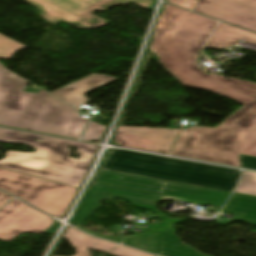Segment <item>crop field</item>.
<instances>
[{
  "instance_id": "crop-field-3",
  "label": "crop field",
  "mask_w": 256,
  "mask_h": 256,
  "mask_svg": "<svg viewBox=\"0 0 256 256\" xmlns=\"http://www.w3.org/2000/svg\"><path fill=\"white\" fill-rule=\"evenodd\" d=\"M21 78L5 69L0 79V125L79 139L88 120L41 89L23 92Z\"/></svg>"
},
{
  "instance_id": "crop-field-12",
  "label": "crop field",
  "mask_w": 256,
  "mask_h": 256,
  "mask_svg": "<svg viewBox=\"0 0 256 256\" xmlns=\"http://www.w3.org/2000/svg\"><path fill=\"white\" fill-rule=\"evenodd\" d=\"M239 176L236 169L197 163L184 182L232 191Z\"/></svg>"
},
{
  "instance_id": "crop-field-17",
  "label": "crop field",
  "mask_w": 256,
  "mask_h": 256,
  "mask_svg": "<svg viewBox=\"0 0 256 256\" xmlns=\"http://www.w3.org/2000/svg\"><path fill=\"white\" fill-rule=\"evenodd\" d=\"M255 202L256 197L234 193L222 211L239 214L237 219L242 220Z\"/></svg>"
},
{
  "instance_id": "crop-field-13",
  "label": "crop field",
  "mask_w": 256,
  "mask_h": 256,
  "mask_svg": "<svg viewBox=\"0 0 256 256\" xmlns=\"http://www.w3.org/2000/svg\"><path fill=\"white\" fill-rule=\"evenodd\" d=\"M114 80L116 79L110 76L91 74L79 81H76L70 85H67L61 89L52 92V94L57 96L64 102L74 107H77L79 105L89 102V100L86 99L83 94L107 83H110Z\"/></svg>"
},
{
  "instance_id": "crop-field-21",
  "label": "crop field",
  "mask_w": 256,
  "mask_h": 256,
  "mask_svg": "<svg viewBox=\"0 0 256 256\" xmlns=\"http://www.w3.org/2000/svg\"><path fill=\"white\" fill-rule=\"evenodd\" d=\"M109 254H112L115 256H154L151 254H147L141 251L131 249L123 245L118 246L117 248L112 250Z\"/></svg>"
},
{
  "instance_id": "crop-field-2",
  "label": "crop field",
  "mask_w": 256,
  "mask_h": 256,
  "mask_svg": "<svg viewBox=\"0 0 256 256\" xmlns=\"http://www.w3.org/2000/svg\"><path fill=\"white\" fill-rule=\"evenodd\" d=\"M43 139L42 142L35 141ZM0 142L30 145L35 153L8 151L0 160V167L32 175L53 182L79 188L84 179L98 146L0 128ZM79 147L82 154L79 160L69 158L71 150L66 146Z\"/></svg>"
},
{
  "instance_id": "crop-field-10",
  "label": "crop field",
  "mask_w": 256,
  "mask_h": 256,
  "mask_svg": "<svg viewBox=\"0 0 256 256\" xmlns=\"http://www.w3.org/2000/svg\"><path fill=\"white\" fill-rule=\"evenodd\" d=\"M193 11L256 32V0H199Z\"/></svg>"
},
{
  "instance_id": "crop-field-28",
  "label": "crop field",
  "mask_w": 256,
  "mask_h": 256,
  "mask_svg": "<svg viewBox=\"0 0 256 256\" xmlns=\"http://www.w3.org/2000/svg\"><path fill=\"white\" fill-rule=\"evenodd\" d=\"M59 225V223L58 222H54L53 224H52V226L46 231V232H44L45 234H50V235H53V233H54V231H55V229H56V227Z\"/></svg>"
},
{
  "instance_id": "crop-field-18",
  "label": "crop field",
  "mask_w": 256,
  "mask_h": 256,
  "mask_svg": "<svg viewBox=\"0 0 256 256\" xmlns=\"http://www.w3.org/2000/svg\"><path fill=\"white\" fill-rule=\"evenodd\" d=\"M23 48H27V47L0 34V58L1 59H10L12 58L16 50L23 49Z\"/></svg>"
},
{
  "instance_id": "crop-field-29",
  "label": "crop field",
  "mask_w": 256,
  "mask_h": 256,
  "mask_svg": "<svg viewBox=\"0 0 256 256\" xmlns=\"http://www.w3.org/2000/svg\"><path fill=\"white\" fill-rule=\"evenodd\" d=\"M4 69H5V67H3V66L0 64V77H1V75H2V73H3V71H4Z\"/></svg>"
},
{
  "instance_id": "crop-field-9",
  "label": "crop field",
  "mask_w": 256,
  "mask_h": 256,
  "mask_svg": "<svg viewBox=\"0 0 256 256\" xmlns=\"http://www.w3.org/2000/svg\"><path fill=\"white\" fill-rule=\"evenodd\" d=\"M54 221L15 199L0 212V240L11 241L22 232L43 233Z\"/></svg>"
},
{
  "instance_id": "crop-field-1",
  "label": "crop field",
  "mask_w": 256,
  "mask_h": 256,
  "mask_svg": "<svg viewBox=\"0 0 256 256\" xmlns=\"http://www.w3.org/2000/svg\"><path fill=\"white\" fill-rule=\"evenodd\" d=\"M165 28L149 47L181 84L210 90L244 105L216 128L187 127L171 155L240 166L239 154L256 157V83L206 74L195 62L217 21L164 5Z\"/></svg>"
},
{
  "instance_id": "crop-field-7",
  "label": "crop field",
  "mask_w": 256,
  "mask_h": 256,
  "mask_svg": "<svg viewBox=\"0 0 256 256\" xmlns=\"http://www.w3.org/2000/svg\"><path fill=\"white\" fill-rule=\"evenodd\" d=\"M41 10L42 18L57 25L60 22L73 24L80 29H97L110 22L92 14L95 10L101 12L117 5L131 2L151 10L155 0H26Z\"/></svg>"
},
{
  "instance_id": "crop-field-22",
  "label": "crop field",
  "mask_w": 256,
  "mask_h": 256,
  "mask_svg": "<svg viewBox=\"0 0 256 256\" xmlns=\"http://www.w3.org/2000/svg\"><path fill=\"white\" fill-rule=\"evenodd\" d=\"M241 166L256 169V158L240 155Z\"/></svg>"
},
{
  "instance_id": "crop-field-11",
  "label": "crop field",
  "mask_w": 256,
  "mask_h": 256,
  "mask_svg": "<svg viewBox=\"0 0 256 256\" xmlns=\"http://www.w3.org/2000/svg\"><path fill=\"white\" fill-rule=\"evenodd\" d=\"M179 130L118 127L114 142L120 146L168 154Z\"/></svg>"
},
{
  "instance_id": "crop-field-16",
  "label": "crop field",
  "mask_w": 256,
  "mask_h": 256,
  "mask_svg": "<svg viewBox=\"0 0 256 256\" xmlns=\"http://www.w3.org/2000/svg\"><path fill=\"white\" fill-rule=\"evenodd\" d=\"M156 254L163 256H207L183 244L176 234H156Z\"/></svg>"
},
{
  "instance_id": "crop-field-6",
  "label": "crop field",
  "mask_w": 256,
  "mask_h": 256,
  "mask_svg": "<svg viewBox=\"0 0 256 256\" xmlns=\"http://www.w3.org/2000/svg\"><path fill=\"white\" fill-rule=\"evenodd\" d=\"M0 189L53 216L63 217L77 188L0 168Z\"/></svg>"
},
{
  "instance_id": "crop-field-23",
  "label": "crop field",
  "mask_w": 256,
  "mask_h": 256,
  "mask_svg": "<svg viewBox=\"0 0 256 256\" xmlns=\"http://www.w3.org/2000/svg\"><path fill=\"white\" fill-rule=\"evenodd\" d=\"M242 221L256 226V203L250 209V211L247 213V215L244 217Z\"/></svg>"
},
{
  "instance_id": "crop-field-4",
  "label": "crop field",
  "mask_w": 256,
  "mask_h": 256,
  "mask_svg": "<svg viewBox=\"0 0 256 256\" xmlns=\"http://www.w3.org/2000/svg\"><path fill=\"white\" fill-rule=\"evenodd\" d=\"M114 197L130 202L136 207L154 211L163 219L162 224H149L144 233L125 237L123 244L155 254V233H175L173 230L175 224L184 222L181 219H168L156 210L160 195L93 183L90 191H87L82 199L71 224L77 227L80 226L93 212L101 207L98 203L100 200L103 198L112 200Z\"/></svg>"
},
{
  "instance_id": "crop-field-27",
  "label": "crop field",
  "mask_w": 256,
  "mask_h": 256,
  "mask_svg": "<svg viewBox=\"0 0 256 256\" xmlns=\"http://www.w3.org/2000/svg\"><path fill=\"white\" fill-rule=\"evenodd\" d=\"M12 198L13 197L0 192V208Z\"/></svg>"
},
{
  "instance_id": "crop-field-20",
  "label": "crop field",
  "mask_w": 256,
  "mask_h": 256,
  "mask_svg": "<svg viewBox=\"0 0 256 256\" xmlns=\"http://www.w3.org/2000/svg\"><path fill=\"white\" fill-rule=\"evenodd\" d=\"M105 128V126L99 125L90 120L88 127L81 140H100Z\"/></svg>"
},
{
  "instance_id": "crop-field-25",
  "label": "crop field",
  "mask_w": 256,
  "mask_h": 256,
  "mask_svg": "<svg viewBox=\"0 0 256 256\" xmlns=\"http://www.w3.org/2000/svg\"><path fill=\"white\" fill-rule=\"evenodd\" d=\"M79 229L85 231V232H88L94 236H98V237H102V238H106V239H110V240H113V241H116V242H120L121 241V238H118V237H112V236H103V235H100L98 233H95V232H92V231H88L82 227H79Z\"/></svg>"
},
{
  "instance_id": "crop-field-15",
  "label": "crop field",
  "mask_w": 256,
  "mask_h": 256,
  "mask_svg": "<svg viewBox=\"0 0 256 256\" xmlns=\"http://www.w3.org/2000/svg\"><path fill=\"white\" fill-rule=\"evenodd\" d=\"M62 238L67 239L70 244L75 247L77 251V254L75 256H90L87 251L88 247L99 251L108 252L117 245L92 238L70 227L66 229ZM96 243L98 244L97 246L95 245Z\"/></svg>"
},
{
  "instance_id": "crop-field-5",
  "label": "crop field",
  "mask_w": 256,
  "mask_h": 256,
  "mask_svg": "<svg viewBox=\"0 0 256 256\" xmlns=\"http://www.w3.org/2000/svg\"><path fill=\"white\" fill-rule=\"evenodd\" d=\"M96 183L161 194L159 201L173 199L198 206L222 208L229 192L101 170Z\"/></svg>"
},
{
  "instance_id": "crop-field-8",
  "label": "crop field",
  "mask_w": 256,
  "mask_h": 256,
  "mask_svg": "<svg viewBox=\"0 0 256 256\" xmlns=\"http://www.w3.org/2000/svg\"><path fill=\"white\" fill-rule=\"evenodd\" d=\"M196 162L114 150L104 169L183 182Z\"/></svg>"
},
{
  "instance_id": "crop-field-14",
  "label": "crop field",
  "mask_w": 256,
  "mask_h": 256,
  "mask_svg": "<svg viewBox=\"0 0 256 256\" xmlns=\"http://www.w3.org/2000/svg\"><path fill=\"white\" fill-rule=\"evenodd\" d=\"M241 39L256 44V34L220 22L205 46L211 49H222Z\"/></svg>"
},
{
  "instance_id": "crop-field-24",
  "label": "crop field",
  "mask_w": 256,
  "mask_h": 256,
  "mask_svg": "<svg viewBox=\"0 0 256 256\" xmlns=\"http://www.w3.org/2000/svg\"><path fill=\"white\" fill-rule=\"evenodd\" d=\"M168 2H171L173 4L182 6L184 8H187L191 10L196 0H167Z\"/></svg>"
},
{
  "instance_id": "crop-field-26",
  "label": "crop field",
  "mask_w": 256,
  "mask_h": 256,
  "mask_svg": "<svg viewBox=\"0 0 256 256\" xmlns=\"http://www.w3.org/2000/svg\"><path fill=\"white\" fill-rule=\"evenodd\" d=\"M167 21L168 20H165V19H162L159 17L153 33L161 31L163 29V27L166 25Z\"/></svg>"
},
{
  "instance_id": "crop-field-19",
  "label": "crop field",
  "mask_w": 256,
  "mask_h": 256,
  "mask_svg": "<svg viewBox=\"0 0 256 256\" xmlns=\"http://www.w3.org/2000/svg\"><path fill=\"white\" fill-rule=\"evenodd\" d=\"M235 192L256 195V173L244 171Z\"/></svg>"
}]
</instances>
